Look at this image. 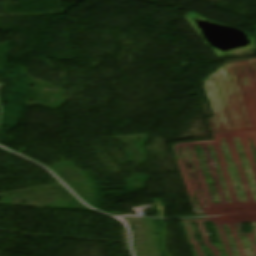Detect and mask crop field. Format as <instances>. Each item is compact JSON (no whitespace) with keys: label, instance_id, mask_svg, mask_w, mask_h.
<instances>
[{"label":"crop field","instance_id":"8a807250","mask_svg":"<svg viewBox=\"0 0 256 256\" xmlns=\"http://www.w3.org/2000/svg\"><path fill=\"white\" fill-rule=\"evenodd\" d=\"M256 59L221 65L206 81V91L215 118L213 131L255 129L235 69L252 65Z\"/></svg>","mask_w":256,"mask_h":256}]
</instances>
